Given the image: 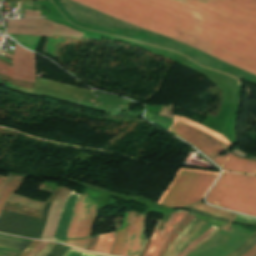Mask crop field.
<instances>
[{
	"mask_svg": "<svg viewBox=\"0 0 256 256\" xmlns=\"http://www.w3.org/2000/svg\"><path fill=\"white\" fill-rule=\"evenodd\" d=\"M148 215L133 212L127 221V236L120 256H139L147 240L146 221Z\"/></svg>",
	"mask_w": 256,
	"mask_h": 256,
	"instance_id": "obj_6",
	"label": "crop field"
},
{
	"mask_svg": "<svg viewBox=\"0 0 256 256\" xmlns=\"http://www.w3.org/2000/svg\"><path fill=\"white\" fill-rule=\"evenodd\" d=\"M256 244V235H252L244 244L227 256H241Z\"/></svg>",
	"mask_w": 256,
	"mask_h": 256,
	"instance_id": "obj_19",
	"label": "crop field"
},
{
	"mask_svg": "<svg viewBox=\"0 0 256 256\" xmlns=\"http://www.w3.org/2000/svg\"><path fill=\"white\" fill-rule=\"evenodd\" d=\"M18 45V44H17ZM15 47L13 62L11 58L0 54L1 56L11 60H7L0 56V58L5 59L13 63V67L0 62V73L11 76L13 79L31 81L34 82L35 79V59L34 54L20 48L19 46Z\"/></svg>",
	"mask_w": 256,
	"mask_h": 256,
	"instance_id": "obj_7",
	"label": "crop field"
},
{
	"mask_svg": "<svg viewBox=\"0 0 256 256\" xmlns=\"http://www.w3.org/2000/svg\"><path fill=\"white\" fill-rule=\"evenodd\" d=\"M46 244L47 243L45 242H41L29 256H35L36 254H38Z\"/></svg>",
	"mask_w": 256,
	"mask_h": 256,
	"instance_id": "obj_25",
	"label": "crop field"
},
{
	"mask_svg": "<svg viewBox=\"0 0 256 256\" xmlns=\"http://www.w3.org/2000/svg\"><path fill=\"white\" fill-rule=\"evenodd\" d=\"M55 244L54 243H48L44 249L36 256H45L54 246Z\"/></svg>",
	"mask_w": 256,
	"mask_h": 256,
	"instance_id": "obj_24",
	"label": "crop field"
},
{
	"mask_svg": "<svg viewBox=\"0 0 256 256\" xmlns=\"http://www.w3.org/2000/svg\"><path fill=\"white\" fill-rule=\"evenodd\" d=\"M40 242L37 241H33L28 247L27 249L21 254V256H28L33 249L39 244Z\"/></svg>",
	"mask_w": 256,
	"mask_h": 256,
	"instance_id": "obj_23",
	"label": "crop field"
},
{
	"mask_svg": "<svg viewBox=\"0 0 256 256\" xmlns=\"http://www.w3.org/2000/svg\"><path fill=\"white\" fill-rule=\"evenodd\" d=\"M195 216L193 214H189L187 218L184 220V222L178 227V229L172 234V236L169 238V240L164 245L162 251L160 252L159 256H162L164 251L167 249V247L171 244V242L185 229V227L190 223V221Z\"/></svg>",
	"mask_w": 256,
	"mask_h": 256,
	"instance_id": "obj_18",
	"label": "crop field"
},
{
	"mask_svg": "<svg viewBox=\"0 0 256 256\" xmlns=\"http://www.w3.org/2000/svg\"><path fill=\"white\" fill-rule=\"evenodd\" d=\"M183 208H186L191 212L199 215L227 221L224 224V226L221 228L223 230H227L230 222L234 219L236 215L235 213H231V212L220 210L214 207L207 206L201 202L193 204L191 206L183 207Z\"/></svg>",
	"mask_w": 256,
	"mask_h": 256,
	"instance_id": "obj_12",
	"label": "crop field"
},
{
	"mask_svg": "<svg viewBox=\"0 0 256 256\" xmlns=\"http://www.w3.org/2000/svg\"><path fill=\"white\" fill-rule=\"evenodd\" d=\"M7 32L10 34L37 36H50L51 34L67 35L77 38H81L83 35V33L43 19L10 20L7 24Z\"/></svg>",
	"mask_w": 256,
	"mask_h": 256,
	"instance_id": "obj_5",
	"label": "crop field"
},
{
	"mask_svg": "<svg viewBox=\"0 0 256 256\" xmlns=\"http://www.w3.org/2000/svg\"><path fill=\"white\" fill-rule=\"evenodd\" d=\"M114 236H115V233H107V234L99 235L98 241L93 251L108 254L114 242Z\"/></svg>",
	"mask_w": 256,
	"mask_h": 256,
	"instance_id": "obj_15",
	"label": "crop field"
},
{
	"mask_svg": "<svg viewBox=\"0 0 256 256\" xmlns=\"http://www.w3.org/2000/svg\"><path fill=\"white\" fill-rule=\"evenodd\" d=\"M217 174L180 170L161 205L181 207L199 201Z\"/></svg>",
	"mask_w": 256,
	"mask_h": 256,
	"instance_id": "obj_2",
	"label": "crop field"
},
{
	"mask_svg": "<svg viewBox=\"0 0 256 256\" xmlns=\"http://www.w3.org/2000/svg\"><path fill=\"white\" fill-rule=\"evenodd\" d=\"M79 196H80V194H77L73 191L69 195V197L64 205V208L62 210L60 220H59V223L56 228L55 235H54V238L52 241L64 243V240L67 235L73 207H74V204L76 203L77 199L79 198Z\"/></svg>",
	"mask_w": 256,
	"mask_h": 256,
	"instance_id": "obj_11",
	"label": "crop field"
},
{
	"mask_svg": "<svg viewBox=\"0 0 256 256\" xmlns=\"http://www.w3.org/2000/svg\"><path fill=\"white\" fill-rule=\"evenodd\" d=\"M128 212H129V210L126 211L124 214L122 229H119L116 231V240H115V244L110 252L111 255L118 256L121 251L123 242L125 240V235H126V221H127Z\"/></svg>",
	"mask_w": 256,
	"mask_h": 256,
	"instance_id": "obj_16",
	"label": "crop field"
},
{
	"mask_svg": "<svg viewBox=\"0 0 256 256\" xmlns=\"http://www.w3.org/2000/svg\"><path fill=\"white\" fill-rule=\"evenodd\" d=\"M206 201L256 216V176L224 173L209 192Z\"/></svg>",
	"mask_w": 256,
	"mask_h": 256,
	"instance_id": "obj_1",
	"label": "crop field"
},
{
	"mask_svg": "<svg viewBox=\"0 0 256 256\" xmlns=\"http://www.w3.org/2000/svg\"><path fill=\"white\" fill-rule=\"evenodd\" d=\"M216 229V227L212 226L210 229H208L204 234H202L196 241H194L188 248H186L179 256H182L184 253H186L189 249H191L193 246H195L198 242H200L206 235L213 232ZM207 237V236H206Z\"/></svg>",
	"mask_w": 256,
	"mask_h": 256,
	"instance_id": "obj_20",
	"label": "crop field"
},
{
	"mask_svg": "<svg viewBox=\"0 0 256 256\" xmlns=\"http://www.w3.org/2000/svg\"><path fill=\"white\" fill-rule=\"evenodd\" d=\"M97 237H98V235L92 236L87 250H90V251L93 250V247H94V244H95V242L97 240Z\"/></svg>",
	"mask_w": 256,
	"mask_h": 256,
	"instance_id": "obj_26",
	"label": "crop field"
},
{
	"mask_svg": "<svg viewBox=\"0 0 256 256\" xmlns=\"http://www.w3.org/2000/svg\"><path fill=\"white\" fill-rule=\"evenodd\" d=\"M22 181V178H4L0 176V210L8 196L19 188Z\"/></svg>",
	"mask_w": 256,
	"mask_h": 256,
	"instance_id": "obj_13",
	"label": "crop field"
},
{
	"mask_svg": "<svg viewBox=\"0 0 256 256\" xmlns=\"http://www.w3.org/2000/svg\"><path fill=\"white\" fill-rule=\"evenodd\" d=\"M21 252L0 247V256H19Z\"/></svg>",
	"mask_w": 256,
	"mask_h": 256,
	"instance_id": "obj_21",
	"label": "crop field"
},
{
	"mask_svg": "<svg viewBox=\"0 0 256 256\" xmlns=\"http://www.w3.org/2000/svg\"><path fill=\"white\" fill-rule=\"evenodd\" d=\"M83 195L98 199L101 193L85 189ZM83 195L75 205L65 243L86 250L95 218L97 199Z\"/></svg>",
	"mask_w": 256,
	"mask_h": 256,
	"instance_id": "obj_3",
	"label": "crop field"
},
{
	"mask_svg": "<svg viewBox=\"0 0 256 256\" xmlns=\"http://www.w3.org/2000/svg\"><path fill=\"white\" fill-rule=\"evenodd\" d=\"M188 215L187 211H174L168 222L157 220L152 238L143 256H158L163 245Z\"/></svg>",
	"mask_w": 256,
	"mask_h": 256,
	"instance_id": "obj_8",
	"label": "crop field"
},
{
	"mask_svg": "<svg viewBox=\"0 0 256 256\" xmlns=\"http://www.w3.org/2000/svg\"><path fill=\"white\" fill-rule=\"evenodd\" d=\"M31 239L11 236L0 233V246L12 248L23 252L26 246L31 242Z\"/></svg>",
	"mask_w": 256,
	"mask_h": 256,
	"instance_id": "obj_14",
	"label": "crop field"
},
{
	"mask_svg": "<svg viewBox=\"0 0 256 256\" xmlns=\"http://www.w3.org/2000/svg\"><path fill=\"white\" fill-rule=\"evenodd\" d=\"M65 256H90V255H82V254H78V253H76V252H73V251L69 250V251L65 254Z\"/></svg>",
	"mask_w": 256,
	"mask_h": 256,
	"instance_id": "obj_27",
	"label": "crop field"
},
{
	"mask_svg": "<svg viewBox=\"0 0 256 256\" xmlns=\"http://www.w3.org/2000/svg\"><path fill=\"white\" fill-rule=\"evenodd\" d=\"M169 132L196 146L211 159L230 146L180 120Z\"/></svg>",
	"mask_w": 256,
	"mask_h": 256,
	"instance_id": "obj_4",
	"label": "crop field"
},
{
	"mask_svg": "<svg viewBox=\"0 0 256 256\" xmlns=\"http://www.w3.org/2000/svg\"><path fill=\"white\" fill-rule=\"evenodd\" d=\"M40 11L25 10L24 18H39Z\"/></svg>",
	"mask_w": 256,
	"mask_h": 256,
	"instance_id": "obj_22",
	"label": "crop field"
},
{
	"mask_svg": "<svg viewBox=\"0 0 256 256\" xmlns=\"http://www.w3.org/2000/svg\"><path fill=\"white\" fill-rule=\"evenodd\" d=\"M70 192L71 190L63 187V189L57 195L56 199L54 200V202L50 207L47 222L40 239L49 240V241L52 240L55 228L57 226L62 205L65 199L67 198V196L70 194Z\"/></svg>",
	"mask_w": 256,
	"mask_h": 256,
	"instance_id": "obj_9",
	"label": "crop field"
},
{
	"mask_svg": "<svg viewBox=\"0 0 256 256\" xmlns=\"http://www.w3.org/2000/svg\"><path fill=\"white\" fill-rule=\"evenodd\" d=\"M254 256H256V255H254Z\"/></svg>",
	"mask_w": 256,
	"mask_h": 256,
	"instance_id": "obj_29",
	"label": "crop field"
},
{
	"mask_svg": "<svg viewBox=\"0 0 256 256\" xmlns=\"http://www.w3.org/2000/svg\"><path fill=\"white\" fill-rule=\"evenodd\" d=\"M256 253V245L243 256H253Z\"/></svg>",
	"mask_w": 256,
	"mask_h": 256,
	"instance_id": "obj_28",
	"label": "crop field"
},
{
	"mask_svg": "<svg viewBox=\"0 0 256 256\" xmlns=\"http://www.w3.org/2000/svg\"><path fill=\"white\" fill-rule=\"evenodd\" d=\"M223 170L235 171L242 173H255L256 174V161L248 159H240L231 153L224 156H219L213 160Z\"/></svg>",
	"mask_w": 256,
	"mask_h": 256,
	"instance_id": "obj_10",
	"label": "crop field"
},
{
	"mask_svg": "<svg viewBox=\"0 0 256 256\" xmlns=\"http://www.w3.org/2000/svg\"><path fill=\"white\" fill-rule=\"evenodd\" d=\"M8 201L14 202V203H18L24 206H28V207H32V208H36V209H42L44 203L43 202H39V201H35L32 199H28V198H24L15 194H12L10 196V198L8 199Z\"/></svg>",
	"mask_w": 256,
	"mask_h": 256,
	"instance_id": "obj_17",
	"label": "crop field"
}]
</instances>
